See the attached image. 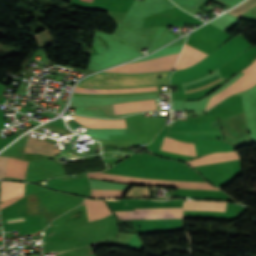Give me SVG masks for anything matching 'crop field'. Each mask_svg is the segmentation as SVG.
<instances>
[{"instance_id": "obj_1", "label": "crop field", "mask_w": 256, "mask_h": 256, "mask_svg": "<svg viewBox=\"0 0 256 256\" xmlns=\"http://www.w3.org/2000/svg\"><path fill=\"white\" fill-rule=\"evenodd\" d=\"M165 83V74L151 75H116V74H100L91 79L86 80L83 85L95 87H115L130 86L143 84H160Z\"/></svg>"}, {"instance_id": "obj_2", "label": "crop field", "mask_w": 256, "mask_h": 256, "mask_svg": "<svg viewBox=\"0 0 256 256\" xmlns=\"http://www.w3.org/2000/svg\"><path fill=\"white\" fill-rule=\"evenodd\" d=\"M178 55L121 65L106 72L148 73L171 70Z\"/></svg>"}, {"instance_id": "obj_3", "label": "crop field", "mask_w": 256, "mask_h": 256, "mask_svg": "<svg viewBox=\"0 0 256 256\" xmlns=\"http://www.w3.org/2000/svg\"><path fill=\"white\" fill-rule=\"evenodd\" d=\"M242 72H244L245 74L239 80L224 89L218 95L210 98L205 110L220 102L224 98L246 90L256 84V60H254V62Z\"/></svg>"}, {"instance_id": "obj_4", "label": "crop field", "mask_w": 256, "mask_h": 256, "mask_svg": "<svg viewBox=\"0 0 256 256\" xmlns=\"http://www.w3.org/2000/svg\"><path fill=\"white\" fill-rule=\"evenodd\" d=\"M8 159V157L0 156V179H4ZM27 164L26 161L10 158L5 176L24 179Z\"/></svg>"}, {"instance_id": "obj_5", "label": "crop field", "mask_w": 256, "mask_h": 256, "mask_svg": "<svg viewBox=\"0 0 256 256\" xmlns=\"http://www.w3.org/2000/svg\"><path fill=\"white\" fill-rule=\"evenodd\" d=\"M158 149L194 157L195 144L180 142L164 137Z\"/></svg>"}, {"instance_id": "obj_6", "label": "crop field", "mask_w": 256, "mask_h": 256, "mask_svg": "<svg viewBox=\"0 0 256 256\" xmlns=\"http://www.w3.org/2000/svg\"><path fill=\"white\" fill-rule=\"evenodd\" d=\"M205 56L207 54L185 44L174 69L178 70L194 65Z\"/></svg>"}, {"instance_id": "obj_7", "label": "crop field", "mask_w": 256, "mask_h": 256, "mask_svg": "<svg viewBox=\"0 0 256 256\" xmlns=\"http://www.w3.org/2000/svg\"><path fill=\"white\" fill-rule=\"evenodd\" d=\"M76 122L88 128H126L124 119L120 120H94L73 116Z\"/></svg>"}, {"instance_id": "obj_8", "label": "crop field", "mask_w": 256, "mask_h": 256, "mask_svg": "<svg viewBox=\"0 0 256 256\" xmlns=\"http://www.w3.org/2000/svg\"><path fill=\"white\" fill-rule=\"evenodd\" d=\"M119 219L157 221L158 216L144 215V208L128 207V210H114Z\"/></svg>"}, {"instance_id": "obj_9", "label": "crop field", "mask_w": 256, "mask_h": 256, "mask_svg": "<svg viewBox=\"0 0 256 256\" xmlns=\"http://www.w3.org/2000/svg\"><path fill=\"white\" fill-rule=\"evenodd\" d=\"M87 202H88L91 221L95 219L103 218L105 216H108L111 213L107 205L105 204L104 200H87ZM87 202H86V208H87ZM88 208H87V213H88ZM89 213H88V219H89Z\"/></svg>"}, {"instance_id": "obj_10", "label": "crop field", "mask_w": 256, "mask_h": 256, "mask_svg": "<svg viewBox=\"0 0 256 256\" xmlns=\"http://www.w3.org/2000/svg\"><path fill=\"white\" fill-rule=\"evenodd\" d=\"M115 113L156 108L155 100L113 104Z\"/></svg>"}, {"instance_id": "obj_11", "label": "crop field", "mask_w": 256, "mask_h": 256, "mask_svg": "<svg viewBox=\"0 0 256 256\" xmlns=\"http://www.w3.org/2000/svg\"><path fill=\"white\" fill-rule=\"evenodd\" d=\"M225 207L226 203L220 202L187 201L184 203V210L225 211Z\"/></svg>"}, {"instance_id": "obj_12", "label": "crop field", "mask_w": 256, "mask_h": 256, "mask_svg": "<svg viewBox=\"0 0 256 256\" xmlns=\"http://www.w3.org/2000/svg\"><path fill=\"white\" fill-rule=\"evenodd\" d=\"M24 183H13L1 181V199L8 200L23 195Z\"/></svg>"}, {"instance_id": "obj_13", "label": "crop field", "mask_w": 256, "mask_h": 256, "mask_svg": "<svg viewBox=\"0 0 256 256\" xmlns=\"http://www.w3.org/2000/svg\"><path fill=\"white\" fill-rule=\"evenodd\" d=\"M147 91H157V86L144 87V88H131V89H112V90L89 89V88H82V87L74 88V92H78V93H129V92H147Z\"/></svg>"}, {"instance_id": "obj_14", "label": "crop field", "mask_w": 256, "mask_h": 256, "mask_svg": "<svg viewBox=\"0 0 256 256\" xmlns=\"http://www.w3.org/2000/svg\"><path fill=\"white\" fill-rule=\"evenodd\" d=\"M158 182H159V186H171L174 188H190V189H206V190L218 189L210 186L208 183L165 181V180H158Z\"/></svg>"}, {"instance_id": "obj_15", "label": "crop field", "mask_w": 256, "mask_h": 256, "mask_svg": "<svg viewBox=\"0 0 256 256\" xmlns=\"http://www.w3.org/2000/svg\"><path fill=\"white\" fill-rule=\"evenodd\" d=\"M88 176L102 178V179L126 181V182L157 184V180H153V179L136 178V177H128V176H120V175L103 174V173H89Z\"/></svg>"}, {"instance_id": "obj_16", "label": "crop field", "mask_w": 256, "mask_h": 256, "mask_svg": "<svg viewBox=\"0 0 256 256\" xmlns=\"http://www.w3.org/2000/svg\"><path fill=\"white\" fill-rule=\"evenodd\" d=\"M145 214L159 215L158 219L182 218V208L145 209Z\"/></svg>"}, {"instance_id": "obj_17", "label": "crop field", "mask_w": 256, "mask_h": 256, "mask_svg": "<svg viewBox=\"0 0 256 256\" xmlns=\"http://www.w3.org/2000/svg\"><path fill=\"white\" fill-rule=\"evenodd\" d=\"M172 1L177 5L198 8L204 0H172ZM216 1L232 7L242 0H216Z\"/></svg>"}, {"instance_id": "obj_18", "label": "crop field", "mask_w": 256, "mask_h": 256, "mask_svg": "<svg viewBox=\"0 0 256 256\" xmlns=\"http://www.w3.org/2000/svg\"><path fill=\"white\" fill-rule=\"evenodd\" d=\"M254 6H256V0H247L246 2H244L241 5L233 8L232 10L228 11L227 13L239 17L242 14L249 11L250 9H252Z\"/></svg>"}, {"instance_id": "obj_19", "label": "crop field", "mask_w": 256, "mask_h": 256, "mask_svg": "<svg viewBox=\"0 0 256 256\" xmlns=\"http://www.w3.org/2000/svg\"><path fill=\"white\" fill-rule=\"evenodd\" d=\"M125 191L92 190L91 197H120Z\"/></svg>"}, {"instance_id": "obj_20", "label": "crop field", "mask_w": 256, "mask_h": 256, "mask_svg": "<svg viewBox=\"0 0 256 256\" xmlns=\"http://www.w3.org/2000/svg\"><path fill=\"white\" fill-rule=\"evenodd\" d=\"M151 193L148 188H137L133 187L131 190H129L126 197H150Z\"/></svg>"}, {"instance_id": "obj_21", "label": "crop field", "mask_w": 256, "mask_h": 256, "mask_svg": "<svg viewBox=\"0 0 256 256\" xmlns=\"http://www.w3.org/2000/svg\"><path fill=\"white\" fill-rule=\"evenodd\" d=\"M21 218H23V217H20V218H14V219H8V220H6V221H9V220H15V219H21Z\"/></svg>"}, {"instance_id": "obj_22", "label": "crop field", "mask_w": 256, "mask_h": 256, "mask_svg": "<svg viewBox=\"0 0 256 256\" xmlns=\"http://www.w3.org/2000/svg\"><path fill=\"white\" fill-rule=\"evenodd\" d=\"M19 221H22V220H19ZM11 222H16V221H11ZM7 223H10V222H7Z\"/></svg>"}]
</instances>
